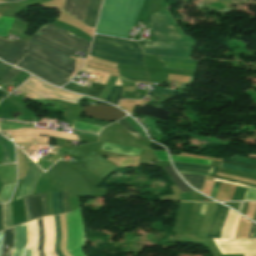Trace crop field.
<instances>
[{
    "label": "crop field",
    "mask_w": 256,
    "mask_h": 256,
    "mask_svg": "<svg viewBox=\"0 0 256 256\" xmlns=\"http://www.w3.org/2000/svg\"><path fill=\"white\" fill-rule=\"evenodd\" d=\"M26 42L15 40L13 42L0 38V58L15 65L25 55Z\"/></svg>",
    "instance_id": "10"
},
{
    "label": "crop field",
    "mask_w": 256,
    "mask_h": 256,
    "mask_svg": "<svg viewBox=\"0 0 256 256\" xmlns=\"http://www.w3.org/2000/svg\"><path fill=\"white\" fill-rule=\"evenodd\" d=\"M17 66L28 70L29 72L49 81L58 86L64 85L70 75L55 69L29 55H26Z\"/></svg>",
    "instance_id": "8"
},
{
    "label": "crop field",
    "mask_w": 256,
    "mask_h": 256,
    "mask_svg": "<svg viewBox=\"0 0 256 256\" xmlns=\"http://www.w3.org/2000/svg\"><path fill=\"white\" fill-rule=\"evenodd\" d=\"M177 170L212 174L213 167L173 162Z\"/></svg>",
    "instance_id": "19"
},
{
    "label": "crop field",
    "mask_w": 256,
    "mask_h": 256,
    "mask_svg": "<svg viewBox=\"0 0 256 256\" xmlns=\"http://www.w3.org/2000/svg\"><path fill=\"white\" fill-rule=\"evenodd\" d=\"M245 256H256V254H245Z\"/></svg>",
    "instance_id": "53"
},
{
    "label": "crop field",
    "mask_w": 256,
    "mask_h": 256,
    "mask_svg": "<svg viewBox=\"0 0 256 256\" xmlns=\"http://www.w3.org/2000/svg\"><path fill=\"white\" fill-rule=\"evenodd\" d=\"M87 0H65L63 11L82 21ZM101 0H89L84 21L87 26L95 25L96 17L99 11Z\"/></svg>",
    "instance_id": "9"
},
{
    "label": "crop field",
    "mask_w": 256,
    "mask_h": 256,
    "mask_svg": "<svg viewBox=\"0 0 256 256\" xmlns=\"http://www.w3.org/2000/svg\"><path fill=\"white\" fill-rule=\"evenodd\" d=\"M43 172L44 171H42L35 165L34 162H32L15 200L33 193Z\"/></svg>",
    "instance_id": "12"
},
{
    "label": "crop field",
    "mask_w": 256,
    "mask_h": 256,
    "mask_svg": "<svg viewBox=\"0 0 256 256\" xmlns=\"http://www.w3.org/2000/svg\"><path fill=\"white\" fill-rule=\"evenodd\" d=\"M3 230V224H2V213H1V204H0V231Z\"/></svg>",
    "instance_id": "49"
},
{
    "label": "crop field",
    "mask_w": 256,
    "mask_h": 256,
    "mask_svg": "<svg viewBox=\"0 0 256 256\" xmlns=\"http://www.w3.org/2000/svg\"><path fill=\"white\" fill-rule=\"evenodd\" d=\"M18 90L27 93L26 97L29 98H56L63 99L71 103L79 104L82 96L67 93L59 90L55 87L47 85L33 77H31L26 83H24Z\"/></svg>",
    "instance_id": "5"
},
{
    "label": "crop field",
    "mask_w": 256,
    "mask_h": 256,
    "mask_svg": "<svg viewBox=\"0 0 256 256\" xmlns=\"http://www.w3.org/2000/svg\"><path fill=\"white\" fill-rule=\"evenodd\" d=\"M2 241H3V231L0 232V251H1Z\"/></svg>",
    "instance_id": "51"
},
{
    "label": "crop field",
    "mask_w": 256,
    "mask_h": 256,
    "mask_svg": "<svg viewBox=\"0 0 256 256\" xmlns=\"http://www.w3.org/2000/svg\"><path fill=\"white\" fill-rule=\"evenodd\" d=\"M239 217H240V215H237L236 220H235V223H234V226H233L231 239H235V230H236V226H237Z\"/></svg>",
    "instance_id": "45"
},
{
    "label": "crop field",
    "mask_w": 256,
    "mask_h": 256,
    "mask_svg": "<svg viewBox=\"0 0 256 256\" xmlns=\"http://www.w3.org/2000/svg\"><path fill=\"white\" fill-rule=\"evenodd\" d=\"M7 1H13V0H7Z\"/></svg>",
    "instance_id": "55"
},
{
    "label": "crop field",
    "mask_w": 256,
    "mask_h": 256,
    "mask_svg": "<svg viewBox=\"0 0 256 256\" xmlns=\"http://www.w3.org/2000/svg\"><path fill=\"white\" fill-rule=\"evenodd\" d=\"M13 239H14L13 228L4 230V241H3L1 256H11Z\"/></svg>",
    "instance_id": "20"
},
{
    "label": "crop field",
    "mask_w": 256,
    "mask_h": 256,
    "mask_svg": "<svg viewBox=\"0 0 256 256\" xmlns=\"http://www.w3.org/2000/svg\"><path fill=\"white\" fill-rule=\"evenodd\" d=\"M143 0H104L96 33L127 38Z\"/></svg>",
    "instance_id": "1"
},
{
    "label": "crop field",
    "mask_w": 256,
    "mask_h": 256,
    "mask_svg": "<svg viewBox=\"0 0 256 256\" xmlns=\"http://www.w3.org/2000/svg\"><path fill=\"white\" fill-rule=\"evenodd\" d=\"M144 54L190 59L192 52L159 50V49L144 47Z\"/></svg>",
    "instance_id": "18"
},
{
    "label": "crop field",
    "mask_w": 256,
    "mask_h": 256,
    "mask_svg": "<svg viewBox=\"0 0 256 256\" xmlns=\"http://www.w3.org/2000/svg\"><path fill=\"white\" fill-rule=\"evenodd\" d=\"M220 167L256 174V171L244 169V168H240V167H235V166H231V165H227V164H223V163H221Z\"/></svg>",
    "instance_id": "36"
},
{
    "label": "crop field",
    "mask_w": 256,
    "mask_h": 256,
    "mask_svg": "<svg viewBox=\"0 0 256 256\" xmlns=\"http://www.w3.org/2000/svg\"><path fill=\"white\" fill-rule=\"evenodd\" d=\"M28 128V123L0 120V130Z\"/></svg>",
    "instance_id": "29"
},
{
    "label": "crop field",
    "mask_w": 256,
    "mask_h": 256,
    "mask_svg": "<svg viewBox=\"0 0 256 256\" xmlns=\"http://www.w3.org/2000/svg\"><path fill=\"white\" fill-rule=\"evenodd\" d=\"M171 156H172V160L177 161V162H186V163H196V164L210 165V161H207V160L179 157V156H173V155H171Z\"/></svg>",
    "instance_id": "31"
},
{
    "label": "crop field",
    "mask_w": 256,
    "mask_h": 256,
    "mask_svg": "<svg viewBox=\"0 0 256 256\" xmlns=\"http://www.w3.org/2000/svg\"><path fill=\"white\" fill-rule=\"evenodd\" d=\"M39 227V243H38V228L36 220L27 223V236L28 244L26 247H33L32 256H45L43 253V239H44V229L42 218L37 219ZM37 243H38V253H37Z\"/></svg>",
    "instance_id": "11"
},
{
    "label": "crop field",
    "mask_w": 256,
    "mask_h": 256,
    "mask_svg": "<svg viewBox=\"0 0 256 256\" xmlns=\"http://www.w3.org/2000/svg\"><path fill=\"white\" fill-rule=\"evenodd\" d=\"M117 123H120L124 129L133 134L135 137L141 139V137L123 119L117 121Z\"/></svg>",
    "instance_id": "37"
},
{
    "label": "crop field",
    "mask_w": 256,
    "mask_h": 256,
    "mask_svg": "<svg viewBox=\"0 0 256 256\" xmlns=\"http://www.w3.org/2000/svg\"><path fill=\"white\" fill-rule=\"evenodd\" d=\"M56 221V243H55V251L58 256H64L61 251L59 250V243H60V218L59 215L55 216Z\"/></svg>",
    "instance_id": "32"
},
{
    "label": "crop field",
    "mask_w": 256,
    "mask_h": 256,
    "mask_svg": "<svg viewBox=\"0 0 256 256\" xmlns=\"http://www.w3.org/2000/svg\"><path fill=\"white\" fill-rule=\"evenodd\" d=\"M33 219L42 217V208L39 194L29 196ZM28 196L24 198L26 206L27 221L32 220Z\"/></svg>",
    "instance_id": "16"
},
{
    "label": "crop field",
    "mask_w": 256,
    "mask_h": 256,
    "mask_svg": "<svg viewBox=\"0 0 256 256\" xmlns=\"http://www.w3.org/2000/svg\"><path fill=\"white\" fill-rule=\"evenodd\" d=\"M20 72H21V70H16V69L13 68L7 75H5V76L0 80V82L6 86V85H7L13 78H15Z\"/></svg>",
    "instance_id": "33"
},
{
    "label": "crop field",
    "mask_w": 256,
    "mask_h": 256,
    "mask_svg": "<svg viewBox=\"0 0 256 256\" xmlns=\"http://www.w3.org/2000/svg\"><path fill=\"white\" fill-rule=\"evenodd\" d=\"M64 207H65V213L68 212L69 206H68V197L66 193H64Z\"/></svg>",
    "instance_id": "46"
},
{
    "label": "crop field",
    "mask_w": 256,
    "mask_h": 256,
    "mask_svg": "<svg viewBox=\"0 0 256 256\" xmlns=\"http://www.w3.org/2000/svg\"><path fill=\"white\" fill-rule=\"evenodd\" d=\"M182 177L188 181L192 187L196 188V189H200V185H201V181H202V178L203 176H199V175H190V174H182ZM205 178V177H204ZM203 182H204V179L202 181V185H203ZM201 185V187H202ZM201 190V189H200Z\"/></svg>",
    "instance_id": "28"
},
{
    "label": "crop field",
    "mask_w": 256,
    "mask_h": 256,
    "mask_svg": "<svg viewBox=\"0 0 256 256\" xmlns=\"http://www.w3.org/2000/svg\"><path fill=\"white\" fill-rule=\"evenodd\" d=\"M235 212L229 210L228 216L225 220L222 237L224 239H228V241H217L218 244L221 246L224 254L227 253H256V239H237V240H230V232L234 223V219L236 217ZM224 239H214L215 240H224ZM216 245L222 252L220 246ZM222 252V254H223Z\"/></svg>",
    "instance_id": "6"
},
{
    "label": "crop field",
    "mask_w": 256,
    "mask_h": 256,
    "mask_svg": "<svg viewBox=\"0 0 256 256\" xmlns=\"http://www.w3.org/2000/svg\"><path fill=\"white\" fill-rule=\"evenodd\" d=\"M15 184L4 185L1 193H0V203H5L9 201L11 193L14 189Z\"/></svg>",
    "instance_id": "30"
},
{
    "label": "crop field",
    "mask_w": 256,
    "mask_h": 256,
    "mask_svg": "<svg viewBox=\"0 0 256 256\" xmlns=\"http://www.w3.org/2000/svg\"><path fill=\"white\" fill-rule=\"evenodd\" d=\"M178 172H182V171H178ZM182 173H190V172H182ZM190 174H197V173H190ZM200 175H205V174H200Z\"/></svg>",
    "instance_id": "52"
},
{
    "label": "crop field",
    "mask_w": 256,
    "mask_h": 256,
    "mask_svg": "<svg viewBox=\"0 0 256 256\" xmlns=\"http://www.w3.org/2000/svg\"><path fill=\"white\" fill-rule=\"evenodd\" d=\"M153 92L168 94V95H172V96H176V93H179V94L182 93V92H176V91H171V90H166V89H161V88H156V87H154Z\"/></svg>",
    "instance_id": "38"
},
{
    "label": "crop field",
    "mask_w": 256,
    "mask_h": 256,
    "mask_svg": "<svg viewBox=\"0 0 256 256\" xmlns=\"http://www.w3.org/2000/svg\"><path fill=\"white\" fill-rule=\"evenodd\" d=\"M12 21L0 19V35L5 36Z\"/></svg>",
    "instance_id": "34"
},
{
    "label": "crop field",
    "mask_w": 256,
    "mask_h": 256,
    "mask_svg": "<svg viewBox=\"0 0 256 256\" xmlns=\"http://www.w3.org/2000/svg\"><path fill=\"white\" fill-rule=\"evenodd\" d=\"M44 216L48 215L45 193L40 194Z\"/></svg>",
    "instance_id": "40"
},
{
    "label": "crop field",
    "mask_w": 256,
    "mask_h": 256,
    "mask_svg": "<svg viewBox=\"0 0 256 256\" xmlns=\"http://www.w3.org/2000/svg\"><path fill=\"white\" fill-rule=\"evenodd\" d=\"M244 200H256V191L248 189Z\"/></svg>",
    "instance_id": "41"
},
{
    "label": "crop field",
    "mask_w": 256,
    "mask_h": 256,
    "mask_svg": "<svg viewBox=\"0 0 256 256\" xmlns=\"http://www.w3.org/2000/svg\"><path fill=\"white\" fill-rule=\"evenodd\" d=\"M31 40L69 57L77 50L88 52L90 43L51 24L42 27Z\"/></svg>",
    "instance_id": "4"
},
{
    "label": "crop field",
    "mask_w": 256,
    "mask_h": 256,
    "mask_svg": "<svg viewBox=\"0 0 256 256\" xmlns=\"http://www.w3.org/2000/svg\"><path fill=\"white\" fill-rule=\"evenodd\" d=\"M158 160H164V161H169L167 158L166 152L163 151H154Z\"/></svg>",
    "instance_id": "42"
},
{
    "label": "crop field",
    "mask_w": 256,
    "mask_h": 256,
    "mask_svg": "<svg viewBox=\"0 0 256 256\" xmlns=\"http://www.w3.org/2000/svg\"><path fill=\"white\" fill-rule=\"evenodd\" d=\"M4 229L12 225V211L10 203L2 204Z\"/></svg>",
    "instance_id": "26"
},
{
    "label": "crop field",
    "mask_w": 256,
    "mask_h": 256,
    "mask_svg": "<svg viewBox=\"0 0 256 256\" xmlns=\"http://www.w3.org/2000/svg\"><path fill=\"white\" fill-rule=\"evenodd\" d=\"M224 163H228V164H232V165H236V166H240V167H246V168H252V169H256V165H252V164H246V163H240V162H235L233 160H228V159H223Z\"/></svg>",
    "instance_id": "35"
},
{
    "label": "crop field",
    "mask_w": 256,
    "mask_h": 256,
    "mask_svg": "<svg viewBox=\"0 0 256 256\" xmlns=\"http://www.w3.org/2000/svg\"><path fill=\"white\" fill-rule=\"evenodd\" d=\"M159 60L164 62L166 67L191 69L196 70L198 60H185V59H174V58H163L158 57Z\"/></svg>",
    "instance_id": "17"
},
{
    "label": "crop field",
    "mask_w": 256,
    "mask_h": 256,
    "mask_svg": "<svg viewBox=\"0 0 256 256\" xmlns=\"http://www.w3.org/2000/svg\"><path fill=\"white\" fill-rule=\"evenodd\" d=\"M11 67L0 62V78L10 69Z\"/></svg>",
    "instance_id": "44"
},
{
    "label": "crop field",
    "mask_w": 256,
    "mask_h": 256,
    "mask_svg": "<svg viewBox=\"0 0 256 256\" xmlns=\"http://www.w3.org/2000/svg\"><path fill=\"white\" fill-rule=\"evenodd\" d=\"M238 182V181H237ZM239 183H242V182H239ZM243 184H246V183H243ZM246 185H249V186H254V185H250V184H246ZM256 187V186H255Z\"/></svg>",
    "instance_id": "54"
},
{
    "label": "crop field",
    "mask_w": 256,
    "mask_h": 256,
    "mask_svg": "<svg viewBox=\"0 0 256 256\" xmlns=\"http://www.w3.org/2000/svg\"><path fill=\"white\" fill-rule=\"evenodd\" d=\"M60 214L64 213L63 192H58Z\"/></svg>",
    "instance_id": "43"
},
{
    "label": "crop field",
    "mask_w": 256,
    "mask_h": 256,
    "mask_svg": "<svg viewBox=\"0 0 256 256\" xmlns=\"http://www.w3.org/2000/svg\"><path fill=\"white\" fill-rule=\"evenodd\" d=\"M113 86H122L119 81V78L115 81ZM121 92H122V87H112V89L110 90L105 100L118 105Z\"/></svg>",
    "instance_id": "22"
},
{
    "label": "crop field",
    "mask_w": 256,
    "mask_h": 256,
    "mask_svg": "<svg viewBox=\"0 0 256 256\" xmlns=\"http://www.w3.org/2000/svg\"><path fill=\"white\" fill-rule=\"evenodd\" d=\"M31 249L32 248H25L23 252V256H31Z\"/></svg>",
    "instance_id": "47"
},
{
    "label": "crop field",
    "mask_w": 256,
    "mask_h": 256,
    "mask_svg": "<svg viewBox=\"0 0 256 256\" xmlns=\"http://www.w3.org/2000/svg\"><path fill=\"white\" fill-rule=\"evenodd\" d=\"M165 170L167 171V173L170 175V177L172 178V180L175 182V184L178 186V188L182 191H191L190 188H188L182 181L181 179L178 177V175L175 173V171L172 169L171 165L165 167Z\"/></svg>",
    "instance_id": "25"
},
{
    "label": "crop field",
    "mask_w": 256,
    "mask_h": 256,
    "mask_svg": "<svg viewBox=\"0 0 256 256\" xmlns=\"http://www.w3.org/2000/svg\"><path fill=\"white\" fill-rule=\"evenodd\" d=\"M228 210V208L217 204L211 227L207 236L208 238H220L222 225Z\"/></svg>",
    "instance_id": "13"
},
{
    "label": "crop field",
    "mask_w": 256,
    "mask_h": 256,
    "mask_svg": "<svg viewBox=\"0 0 256 256\" xmlns=\"http://www.w3.org/2000/svg\"><path fill=\"white\" fill-rule=\"evenodd\" d=\"M15 142H34V143H47L49 144V137L43 136H18L12 137Z\"/></svg>",
    "instance_id": "24"
},
{
    "label": "crop field",
    "mask_w": 256,
    "mask_h": 256,
    "mask_svg": "<svg viewBox=\"0 0 256 256\" xmlns=\"http://www.w3.org/2000/svg\"><path fill=\"white\" fill-rule=\"evenodd\" d=\"M218 187H219V186H217V185L214 186L213 191H212L210 197L215 198V195H216V192H217V190H218Z\"/></svg>",
    "instance_id": "48"
},
{
    "label": "crop field",
    "mask_w": 256,
    "mask_h": 256,
    "mask_svg": "<svg viewBox=\"0 0 256 256\" xmlns=\"http://www.w3.org/2000/svg\"><path fill=\"white\" fill-rule=\"evenodd\" d=\"M54 214H59L57 192L52 193Z\"/></svg>",
    "instance_id": "39"
},
{
    "label": "crop field",
    "mask_w": 256,
    "mask_h": 256,
    "mask_svg": "<svg viewBox=\"0 0 256 256\" xmlns=\"http://www.w3.org/2000/svg\"><path fill=\"white\" fill-rule=\"evenodd\" d=\"M92 56L115 63L144 66L141 49L135 42L95 35Z\"/></svg>",
    "instance_id": "3"
},
{
    "label": "crop field",
    "mask_w": 256,
    "mask_h": 256,
    "mask_svg": "<svg viewBox=\"0 0 256 256\" xmlns=\"http://www.w3.org/2000/svg\"><path fill=\"white\" fill-rule=\"evenodd\" d=\"M29 54L32 56L68 73H71L74 70V59L69 58L61 53H58L48 47L37 44L33 41H29L28 48Z\"/></svg>",
    "instance_id": "7"
},
{
    "label": "crop field",
    "mask_w": 256,
    "mask_h": 256,
    "mask_svg": "<svg viewBox=\"0 0 256 256\" xmlns=\"http://www.w3.org/2000/svg\"><path fill=\"white\" fill-rule=\"evenodd\" d=\"M10 135H18V134H45V135H53L65 139H76L79 140V138L76 135L61 132V131H54V130H35V129H18V130H11V131H5ZM80 141V140H79Z\"/></svg>",
    "instance_id": "15"
},
{
    "label": "crop field",
    "mask_w": 256,
    "mask_h": 256,
    "mask_svg": "<svg viewBox=\"0 0 256 256\" xmlns=\"http://www.w3.org/2000/svg\"><path fill=\"white\" fill-rule=\"evenodd\" d=\"M255 224H252V227H251V231H250V234H249V237L248 238H252V234H253V231L255 229Z\"/></svg>",
    "instance_id": "50"
},
{
    "label": "crop field",
    "mask_w": 256,
    "mask_h": 256,
    "mask_svg": "<svg viewBox=\"0 0 256 256\" xmlns=\"http://www.w3.org/2000/svg\"><path fill=\"white\" fill-rule=\"evenodd\" d=\"M170 14L160 10L151 16L146 27L152 28V39L145 46L192 51L194 39L185 36Z\"/></svg>",
    "instance_id": "2"
},
{
    "label": "crop field",
    "mask_w": 256,
    "mask_h": 256,
    "mask_svg": "<svg viewBox=\"0 0 256 256\" xmlns=\"http://www.w3.org/2000/svg\"><path fill=\"white\" fill-rule=\"evenodd\" d=\"M72 127L73 128H77V129H81V130H86V131L98 133L99 130L103 126H99V125H95V124H91V123H85V122L76 121Z\"/></svg>",
    "instance_id": "27"
},
{
    "label": "crop field",
    "mask_w": 256,
    "mask_h": 256,
    "mask_svg": "<svg viewBox=\"0 0 256 256\" xmlns=\"http://www.w3.org/2000/svg\"><path fill=\"white\" fill-rule=\"evenodd\" d=\"M101 149L129 154V155H138L140 150L136 148H129V147L119 146V145L110 144V143H104Z\"/></svg>",
    "instance_id": "21"
},
{
    "label": "crop field",
    "mask_w": 256,
    "mask_h": 256,
    "mask_svg": "<svg viewBox=\"0 0 256 256\" xmlns=\"http://www.w3.org/2000/svg\"><path fill=\"white\" fill-rule=\"evenodd\" d=\"M15 239L12 249V256H22L23 249L27 243L25 224L14 227Z\"/></svg>",
    "instance_id": "14"
},
{
    "label": "crop field",
    "mask_w": 256,
    "mask_h": 256,
    "mask_svg": "<svg viewBox=\"0 0 256 256\" xmlns=\"http://www.w3.org/2000/svg\"><path fill=\"white\" fill-rule=\"evenodd\" d=\"M121 76L131 80V81H144L148 82L147 74L142 72H134V71H124L119 70Z\"/></svg>",
    "instance_id": "23"
}]
</instances>
